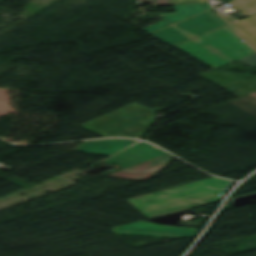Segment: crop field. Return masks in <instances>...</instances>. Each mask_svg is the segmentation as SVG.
Returning a JSON list of instances; mask_svg holds the SVG:
<instances>
[{"label":"crop field","mask_w":256,"mask_h":256,"mask_svg":"<svg viewBox=\"0 0 256 256\" xmlns=\"http://www.w3.org/2000/svg\"><path fill=\"white\" fill-rule=\"evenodd\" d=\"M238 61H240V62H242V63H244V64H246V65H248L252 68H255L256 67V53L253 54V55H250L248 57H245L243 59H240Z\"/></svg>","instance_id":"11"},{"label":"crop field","mask_w":256,"mask_h":256,"mask_svg":"<svg viewBox=\"0 0 256 256\" xmlns=\"http://www.w3.org/2000/svg\"><path fill=\"white\" fill-rule=\"evenodd\" d=\"M172 156L167 155L144 164L114 173L112 175L106 176L107 178H119V179H131V180H143L149 181L153 178L159 171H161Z\"/></svg>","instance_id":"6"},{"label":"crop field","mask_w":256,"mask_h":256,"mask_svg":"<svg viewBox=\"0 0 256 256\" xmlns=\"http://www.w3.org/2000/svg\"><path fill=\"white\" fill-rule=\"evenodd\" d=\"M228 26L175 46L184 53L214 67L227 65L255 53Z\"/></svg>","instance_id":"1"},{"label":"crop field","mask_w":256,"mask_h":256,"mask_svg":"<svg viewBox=\"0 0 256 256\" xmlns=\"http://www.w3.org/2000/svg\"><path fill=\"white\" fill-rule=\"evenodd\" d=\"M156 116L154 111L133 103L79 126L105 137L124 136L142 139Z\"/></svg>","instance_id":"2"},{"label":"crop field","mask_w":256,"mask_h":256,"mask_svg":"<svg viewBox=\"0 0 256 256\" xmlns=\"http://www.w3.org/2000/svg\"><path fill=\"white\" fill-rule=\"evenodd\" d=\"M134 142L136 141L127 139L89 141L84 142L75 151L87 154L111 156L133 144Z\"/></svg>","instance_id":"7"},{"label":"crop field","mask_w":256,"mask_h":256,"mask_svg":"<svg viewBox=\"0 0 256 256\" xmlns=\"http://www.w3.org/2000/svg\"><path fill=\"white\" fill-rule=\"evenodd\" d=\"M229 9L237 8L243 18L256 13V0H232Z\"/></svg>","instance_id":"10"},{"label":"crop field","mask_w":256,"mask_h":256,"mask_svg":"<svg viewBox=\"0 0 256 256\" xmlns=\"http://www.w3.org/2000/svg\"><path fill=\"white\" fill-rule=\"evenodd\" d=\"M226 24L228 23L210 10L151 35L171 46H175L189 39L211 32Z\"/></svg>","instance_id":"3"},{"label":"crop field","mask_w":256,"mask_h":256,"mask_svg":"<svg viewBox=\"0 0 256 256\" xmlns=\"http://www.w3.org/2000/svg\"><path fill=\"white\" fill-rule=\"evenodd\" d=\"M219 16H221L225 21H227L229 24L235 22L234 20L230 19L229 17L223 15V14H220Z\"/></svg>","instance_id":"13"},{"label":"crop field","mask_w":256,"mask_h":256,"mask_svg":"<svg viewBox=\"0 0 256 256\" xmlns=\"http://www.w3.org/2000/svg\"><path fill=\"white\" fill-rule=\"evenodd\" d=\"M171 4H179V3H186V2H192V3H200V2H208L209 0H169Z\"/></svg>","instance_id":"12"},{"label":"crop field","mask_w":256,"mask_h":256,"mask_svg":"<svg viewBox=\"0 0 256 256\" xmlns=\"http://www.w3.org/2000/svg\"><path fill=\"white\" fill-rule=\"evenodd\" d=\"M114 230L119 234L153 237H189L197 233V229L160 226L144 221L114 228Z\"/></svg>","instance_id":"5"},{"label":"crop field","mask_w":256,"mask_h":256,"mask_svg":"<svg viewBox=\"0 0 256 256\" xmlns=\"http://www.w3.org/2000/svg\"><path fill=\"white\" fill-rule=\"evenodd\" d=\"M229 26L256 51V14Z\"/></svg>","instance_id":"8"},{"label":"crop field","mask_w":256,"mask_h":256,"mask_svg":"<svg viewBox=\"0 0 256 256\" xmlns=\"http://www.w3.org/2000/svg\"><path fill=\"white\" fill-rule=\"evenodd\" d=\"M176 15H167L160 16L164 21H173V20H186L195 15L193 4H180L175 5ZM157 23L155 25L149 26L142 29L143 31L151 34L157 30H160L168 25L164 22Z\"/></svg>","instance_id":"9"},{"label":"crop field","mask_w":256,"mask_h":256,"mask_svg":"<svg viewBox=\"0 0 256 256\" xmlns=\"http://www.w3.org/2000/svg\"><path fill=\"white\" fill-rule=\"evenodd\" d=\"M167 154L169 153L154 145L146 142H140L119 155L102 162L107 164L114 163L120 166L123 170Z\"/></svg>","instance_id":"4"}]
</instances>
